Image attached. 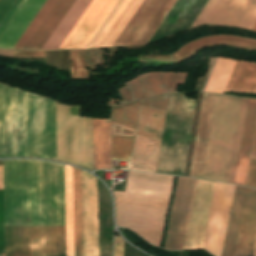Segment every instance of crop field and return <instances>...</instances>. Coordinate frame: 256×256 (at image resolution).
I'll list each match as a JSON object with an SVG mask.
<instances>
[{"mask_svg": "<svg viewBox=\"0 0 256 256\" xmlns=\"http://www.w3.org/2000/svg\"><path fill=\"white\" fill-rule=\"evenodd\" d=\"M5 227L65 228L64 165L8 160ZM5 228V256L66 254L65 229Z\"/></svg>", "mask_w": 256, "mask_h": 256, "instance_id": "crop-field-1", "label": "crop field"}, {"mask_svg": "<svg viewBox=\"0 0 256 256\" xmlns=\"http://www.w3.org/2000/svg\"><path fill=\"white\" fill-rule=\"evenodd\" d=\"M57 160L55 102L0 84V158Z\"/></svg>", "mask_w": 256, "mask_h": 256, "instance_id": "crop-field-2", "label": "crop field"}, {"mask_svg": "<svg viewBox=\"0 0 256 256\" xmlns=\"http://www.w3.org/2000/svg\"><path fill=\"white\" fill-rule=\"evenodd\" d=\"M173 179L129 172L125 192L113 191L117 224L159 247Z\"/></svg>", "mask_w": 256, "mask_h": 256, "instance_id": "crop-field-3", "label": "crop field"}, {"mask_svg": "<svg viewBox=\"0 0 256 256\" xmlns=\"http://www.w3.org/2000/svg\"><path fill=\"white\" fill-rule=\"evenodd\" d=\"M240 100L216 95L202 178L227 180Z\"/></svg>", "mask_w": 256, "mask_h": 256, "instance_id": "crop-field-4", "label": "crop field"}, {"mask_svg": "<svg viewBox=\"0 0 256 256\" xmlns=\"http://www.w3.org/2000/svg\"><path fill=\"white\" fill-rule=\"evenodd\" d=\"M80 106L56 102L58 161L93 170L92 118Z\"/></svg>", "mask_w": 256, "mask_h": 256, "instance_id": "crop-field-5", "label": "crop field"}, {"mask_svg": "<svg viewBox=\"0 0 256 256\" xmlns=\"http://www.w3.org/2000/svg\"><path fill=\"white\" fill-rule=\"evenodd\" d=\"M168 95L142 101L141 106L166 112ZM141 107L137 132L157 139L162 138L166 113ZM136 135L129 169L155 172L161 141L141 134Z\"/></svg>", "mask_w": 256, "mask_h": 256, "instance_id": "crop-field-6", "label": "crop field"}, {"mask_svg": "<svg viewBox=\"0 0 256 256\" xmlns=\"http://www.w3.org/2000/svg\"><path fill=\"white\" fill-rule=\"evenodd\" d=\"M222 256H251L256 232V190L235 188Z\"/></svg>", "mask_w": 256, "mask_h": 256, "instance_id": "crop-field-7", "label": "crop field"}, {"mask_svg": "<svg viewBox=\"0 0 256 256\" xmlns=\"http://www.w3.org/2000/svg\"><path fill=\"white\" fill-rule=\"evenodd\" d=\"M177 0H144L113 46L147 44Z\"/></svg>", "mask_w": 256, "mask_h": 256, "instance_id": "crop-field-8", "label": "crop field"}, {"mask_svg": "<svg viewBox=\"0 0 256 256\" xmlns=\"http://www.w3.org/2000/svg\"><path fill=\"white\" fill-rule=\"evenodd\" d=\"M256 23V0H209L191 27L231 25L251 30Z\"/></svg>", "mask_w": 256, "mask_h": 256, "instance_id": "crop-field-9", "label": "crop field"}, {"mask_svg": "<svg viewBox=\"0 0 256 256\" xmlns=\"http://www.w3.org/2000/svg\"><path fill=\"white\" fill-rule=\"evenodd\" d=\"M187 72H155L145 73L133 81L125 83L126 87L119 89L123 100H117L122 106L126 103L148 98L154 95L177 92V84H185ZM107 106H118L115 100L110 99Z\"/></svg>", "mask_w": 256, "mask_h": 256, "instance_id": "crop-field-10", "label": "crop field"}, {"mask_svg": "<svg viewBox=\"0 0 256 256\" xmlns=\"http://www.w3.org/2000/svg\"><path fill=\"white\" fill-rule=\"evenodd\" d=\"M75 0H47L14 48L41 49Z\"/></svg>", "mask_w": 256, "mask_h": 256, "instance_id": "crop-field-11", "label": "crop field"}, {"mask_svg": "<svg viewBox=\"0 0 256 256\" xmlns=\"http://www.w3.org/2000/svg\"><path fill=\"white\" fill-rule=\"evenodd\" d=\"M234 188L231 185H215L203 248L216 256H221Z\"/></svg>", "mask_w": 256, "mask_h": 256, "instance_id": "crop-field-12", "label": "crop field"}, {"mask_svg": "<svg viewBox=\"0 0 256 256\" xmlns=\"http://www.w3.org/2000/svg\"><path fill=\"white\" fill-rule=\"evenodd\" d=\"M195 179H178L176 194L174 198L168 235L166 240V249H182L194 196Z\"/></svg>", "mask_w": 256, "mask_h": 256, "instance_id": "crop-field-13", "label": "crop field"}, {"mask_svg": "<svg viewBox=\"0 0 256 256\" xmlns=\"http://www.w3.org/2000/svg\"><path fill=\"white\" fill-rule=\"evenodd\" d=\"M83 256H98L97 178L81 170Z\"/></svg>", "mask_w": 256, "mask_h": 256, "instance_id": "crop-field-14", "label": "crop field"}, {"mask_svg": "<svg viewBox=\"0 0 256 256\" xmlns=\"http://www.w3.org/2000/svg\"><path fill=\"white\" fill-rule=\"evenodd\" d=\"M119 0H93L60 49L86 48Z\"/></svg>", "mask_w": 256, "mask_h": 256, "instance_id": "crop-field-15", "label": "crop field"}, {"mask_svg": "<svg viewBox=\"0 0 256 256\" xmlns=\"http://www.w3.org/2000/svg\"><path fill=\"white\" fill-rule=\"evenodd\" d=\"M214 182L198 180L183 249L202 248Z\"/></svg>", "mask_w": 256, "mask_h": 256, "instance_id": "crop-field-16", "label": "crop field"}, {"mask_svg": "<svg viewBox=\"0 0 256 256\" xmlns=\"http://www.w3.org/2000/svg\"><path fill=\"white\" fill-rule=\"evenodd\" d=\"M207 2L208 0H178L148 43L189 29ZM178 18L184 19V23L174 25Z\"/></svg>", "mask_w": 256, "mask_h": 256, "instance_id": "crop-field-17", "label": "crop field"}, {"mask_svg": "<svg viewBox=\"0 0 256 256\" xmlns=\"http://www.w3.org/2000/svg\"><path fill=\"white\" fill-rule=\"evenodd\" d=\"M215 95L203 94L190 174L201 178Z\"/></svg>", "mask_w": 256, "mask_h": 256, "instance_id": "crop-field-18", "label": "crop field"}, {"mask_svg": "<svg viewBox=\"0 0 256 256\" xmlns=\"http://www.w3.org/2000/svg\"><path fill=\"white\" fill-rule=\"evenodd\" d=\"M143 0H122L90 47L112 46Z\"/></svg>", "mask_w": 256, "mask_h": 256, "instance_id": "crop-field-19", "label": "crop field"}, {"mask_svg": "<svg viewBox=\"0 0 256 256\" xmlns=\"http://www.w3.org/2000/svg\"><path fill=\"white\" fill-rule=\"evenodd\" d=\"M214 45H228L244 49L256 50V39L248 37H240L233 35H210L198 38L189 44L183 46L173 57L176 63H180L198 51Z\"/></svg>", "mask_w": 256, "mask_h": 256, "instance_id": "crop-field-20", "label": "crop field"}, {"mask_svg": "<svg viewBox=\"0 0 256 256\" xmlns=\"http://www.w3.org/2000/svg\"><path fill=\"white\" fill-rule=\"evenodd\" d=\"M256 121V100L249 99L234 184L245 186Z\"/></svg>", "mask_w": 256, "mask_h": 256, "instance_id": "crop-field-21", "label": "crop field"}, {"mask_svg": "<svg viewBox=\"0 0 256 256\" xmlns=\"http://www.w3.org/2000/svg\"><path fill=\"white\" fill-rule=\"evenodd\" d=\"M45 0H26L0 38V48H13Z\"/></svg>", "mask_w": 256, "mask_h": 256, "instance_id": "crop-field-22", "label": "crop field"}, {"mask_svg": "<svg viewBox=\"0 0 256 256\" xmlns=\"http://www.w3.org/2000/svg\"><path fill=\"white\" fill-rule=\"evenodd\" d=\"M110 124L111 120L93 119L94 170L111 169Z\"/></svg>", "mask_w": 256, "mask_h": 256, "instance_id": "crop-field-23", "label": "crop field"}, {"mask_svg": "<svg viewBox=\"0 0 256 256\" xmlns=\"http://www.w3.org/2000/svg\"><path fill=\"white\" fill-rule=\"evenodd\" d=\"M92 0H76L42 49H59Z\"/></svg>", "mask_w": 256, "mask_h": 256, "instance_id": "crop-field-24", "label": "crop field"}, {"mask_svg": "<svg viewBox=\"0 0 256 256\" xmlns=\"http://www.w3.org/2000/svg\"><path fill=\"white\" fill-rule=\"evenodd\" d=\"M225 91L256 93V64L237 61Z\"/></svg>", "mask_w": 256, "mask_h": 256, "instance_id": "crop-field-25", "label": "crop field"}, {"mask_svg": "<svg viewBox=\"0 0 256 256\" xmlns=\"http://www.w3.org/2000/svg\"><path fill=\"white\" fill-rule=\"evenodd\" d=\"M140 101L113 108L112 121L135 130ZM112 122L111 134L134 136L135 131ZM113 125L115 126L113 128ZM122 129L124 131L122 132Z\"/></svg>", "mask_w": 256, "mask_h": 256, "instance_id": "crop-field-26", "label": "crop field"}, {"mask_svg": "<svg viewBox=\"0 0 256 256\" xmlns=\"http://www.w3.org/2000/svg\"><path fill=\"white\" fill-rule=\"evenodd\" d=\"M72 77H88L85 67L95 71V65H103L101 49L71 50Z\"/></svg>", "mask_w": 256, "mask_h": 256, "instance_id": "crop-field-27", "label": "crop field"}, {"mask_svg": "<svg viewBox=\"0 0 256 256\" xmlns=\"http://www.w3.org/2000/svg\"><path fill=\"white\" fill-rule=\"evenodd\" d=\"M236 61L218 58L204 92L223 93Z\"/></svg>", "mask_w": 256, "mask_h": 256, "instance_id": "crop-field-28", "label": "crop field"}, {"mask_svg": "<svg viewBox=\"0 0 256 256\" xmlns=\"http://www.w3.org/2000/svg\"><path fill=\"white\" fill-rule=\"evenodd\" d=\"M67 256H74L72 167L65 165Z\"/></svg>", "mask_w": 256, "mask_h": 256, "instance_id": "crop-field-29", "label": "crop field"}, {"mask_svg": "<svg viewBox=\"0 0 256 256\" xmlns=\"http://www.w3.org/2000/svg\"><path fill=\"white\" fill-rule=\"evenodd\" d=\"M75 256H82L80 170L73 167Z\"/></svg>", "mask_w": 256, "mask_h": 256, "instance_id": "crop-field-30", "label": "crop field"}, {"mask_svg": "<svg viewBox=\"0 0 256 256\" xmlns=\"http://www.w3.org/2000/svg\"><path fill=\"white\" fill-rule=\"evenodd\" d=\"M247 101H248V99H245V98H242V100H241L240 112H239V117H238L237 129H236V134H235L234 146H233L231 163H230L228 180H227V182L232 183V184L234 182V176H235L240 141H241V136H242L243 124H244V119H245Z\"/></svg>", "mask_w": 256, "mask_h": 256, "instance_id": "crop-field-31", "label": "crop field"}, {"mask_svg": "<svg viewBox=\"0 0 256 256\" xmlns=\"http://www.w3.org/2000/svg\"><path fill=\"white\" fill-rule=\"evenodd\" d=\"M134 137L111 135L112 159L128 161Z\"/></svg>", "mask_w": 256, "mask_h": 256, "instance_id": "crop-field-32", "label": "crop field"}, {"mask_svg": "<svg viewBox=\"0 0 256 256\" xmlns=\"http://www.w3.org/2000/svg\"><path fill=\"white\" fill-rule=\"evenodd\" d=\"M25 0H15L5 16L0 21V36L5 31L9 23L12 21L18 10L21 8Z\"/></svg>", "mask_w": 256, "mask_h": 256, "instance_id": "crop-field-33", "label": "crop field"}, {"mask_svg": "<svg viewBox=\"0 0 256 256\" xmlns=\"http://www.w3.org/2000/svg\"><path fill=\"white\" fill-rule=\"evenodd\" d=\"M16 58H45V51H14Z\"/></svg>", "mask_w": 256, "mask_h": 256, "instance_id": "crop-field-34", "label": "crop field"}, {"mask_svg": "<svg viewBox=\"0 0 256 256\" xmlns=\"http://www.w3.org/2000/svg\"><path fill=\"white\" fill-rule=\"evenodd\" d=\"M1 250H4L3 190H0V251Z\"/></svg>", "mask_w": 256, "mask_h": 256, "instance_id": "crop-field-35", "label": "crop field"}, {"mask_svg": "<svg viewBox=\"0 0 256 256\" xmlns=\"http://www.w3.org/2000/svg\"><path fill=\"white\" fill-rule=\"evenodd\" d=\"M123 246L124 240L120 236L115 237L114 256H123Z\"/></svg>", "mask_w": 256, "mask_h": 256, "instance_id": "crop-field-36", "label": "crop field"}, {"mask_svg": "<svg viewBox=\"0 0 256 256\" xmlns=\"http://www.w3.org/2000/svg\"><path fill=\"white\" fill-rule=\"evenodd\" d=\"M14 0H0V20L9 9Z\"/></svg>", "mask_w": 256, "mask_h": 256, "instance_id": "crop-field-37", "label": "crop field"}, {"mask_svg": "<svg viewBox=\"0 0 256 256\" xmlns=\"http://www.w3.org/2000/svg\"><path fill=\"white\" fill-rule=\"evenodd\" d=\"M0 55L7 56V57H13V51H1Z\"/></svg>", "mask_w": 256, "mask_h": 256, "instance_id": "crop-field-38", "label": "crop field"}, {"mask_svg": "<svg viewBox=\"0 0 256 256\" xmlns=\"http://www.w3.org/2000/svg\"><path fill=\"white\" fill-rule=\"evenodd\" d=\"M0 189H3V177H2V170H0Z\"/></svg>", "mask_w": 256, "mask_h": 256, "instance_id": "crop-field-39", "label": "crop field"}, {"mask_svg": "<svg viewBox=\"0 0 256 256\" xmlns=\"http://www.w3.org/2000/svg\"><path fill=\"white\" fill-rule=\"evenodd\" d=\"M252 256H256V237H255V242H254Z\"/></svg>", "mask_w": 256, "mask_h": 256, "instance_id": "crop-field-40", "label": "crop field"}, {"mask_svg": "<svg viewBox=\"0 0 256 256\" xmlns=\"http://www.w3.org/2000/svg\"><path fill=\"white\" fill-rule=\"evenodd\" d=\"M253 31H256V24L254 25V27L252 28Z\"/></svg>", "mask_w": 256, "mask_h": 256, "instance_id": "crop-field-41", "label": "crop field"}, {"mask_svg": "<svg viewBox=\"0 0 256 256\" xmlns=\"http://www.w3.org/2000/svg\"><path fill=\"white\" fill-rule=\"evenodd\" d=\"M0 169H2V166H0Z\"/></svg>", "mask_w": 256, "mask_h": 256, "instance_id": "crop-field-42", "label": "crop field"}]
</instances>
